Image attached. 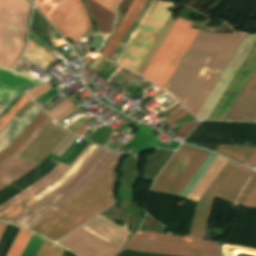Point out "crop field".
<instances>
[{
    "mask_svg": "<svg viewBox=\"0 0 256 256\" xmlns=\"http://www.w3.org/2000/svg\"><path fill=\"white\" fill-rule=\"evenodd\" d=\"M136 76H138V75H136V74H134V73H129L127 76H125L122 80H124L125 82H130L132 79H134Z\"/></svg>",
    "mask_w": 256,
    "mask_h": 256,
    "instance_id": "crop-field-38",
    "label": "crop field"
},
{
    "mask_svg": "<svg viewBox=\"0 0 256 256\" xmlns=\"http://www.w3.org/2000/svg\"><path fill=\"white\" fill-rule=\"evenodd\" d=\"M91 144H93V143H91ZM93 145H95V144H93ZM93 145H91L90 147L88 146L89 148L87 147L88 149L86 148L87 149V150L85 149L86 151L84 150L85 151L84 154L82 153L83 155L81 154L82 156L80 155L81 157L79 156L80 158L78 157L79 159L77 158L78 160L76 159L77 161L75 160L76 162L74 161L75 163L73 162L74 164L72 163L73 165L71 164L72 166L70 165L71 167L70 166H69L70 168L68 167L69 170L67 169L68 171L66 170L67 172L65 171L66 173L64 172L65 174L63 173L64 175L62 174L63 176L61 175L62 177L61 176H60L61 178L59 177L60 179L57 178L58 179V180L56 179L57 181L54 180L55 181V182L53 181L54 183L51 182L53 184L50 183L51 185L48 184L50 186H48V185L47 186L53 190L57 186H59L61 183H63L65 180H67L82 165V163L97 149V147L100 148V146H98V145H95L97 147H95ZM93 154L84 162V164L93 156ZM76 172L67 181H65L63 184L68 182L76 174ZM63 184H61L60 186H62ZM47 186H45L44 188H42L41 190H39L38 192H36L32 196H30L29 198H27L26 200H24L23 202H21L20 204H18L14 208H12L11 210H9L8 212H6L2 216H0V219L3 220V221H6V222L10 221L11 219H13L14 217H16L17 215H19L20 213H22L23 211H25L26 209H28L29 207H31L32 205L37 203L39 200H41L42 198H44L45 196H47L48 194H50L51 192L54 191V190L52 191L51 189H49ZM59 187H57V188H59Z\"/></svg>",
    "mask_w": 256,
    "mask_h": 256,
    "instance_id": "crop-field-14",
    "label": "crop field"
},
{
    "mask_svg": "<svg viewBox=\"0 0 256 256\" xmlns=\"http://www.w3.org/2000/svg\"><path fill=\"white\" fill-rule=\"evenodd\" d=\"M187 141L256 145V123L204 121Z\"/></svg>",
    "mask_w": 256,
    "mask_h": 256,
    "instance_id": "crop-field-10",
    "label": "crop field"
},
{
    "mask_svg": "<svg viewBox=\"0 0 256 256\" xmlns=\"http://www.w3.org/2000/svg\"><path fill=\"white\" fill-rule=\"evenodd\" d=\"M209 152L181 145L151 189L179 195Z\"/></svg>",
    "mask_w": 256,
    "mask_h": 256,
    "instance_id": "crop-field-8",
    "label": "crop field"
},
{
    "mask_svg": "<svg viewBox=\"0 0 256 256\" xmlns=\"http://www.w3.org/2000/svg\"><path fill=\"white\" fill-rule=\"evenodd\" d=\"M219 158H220V156L210 153V155L207 157V159L204 161V163L201 165V167L198 169V171L192 177L190 182L187 184V186L181 192L179 197L190 199V197L193 195V193L196 191V189L202 183L204 178L207 176V174L210 172V170L213 168V166L216 164V162L219 160ZM227 161L228 160H226L222 157L220 158V160L217 162V164L214 166V168L208 174L206 179L203 181V183L200 185V187L197 189V191L191 197L192 200H196V201L199 200V198L202 196V194L205 192V190L208 188V186L211 184V182L214 180V178L217 176V174L220 172V170L223 168V166L226 164Z\"/></svg>",
    "mask_w": 256,
    "mask_h": 256,
    "instance_id": "crop-field-16",
    "label": "crop field"
},
{
    "mask_svg": "<svg viewBox=\"0 0 256 256\" xmlns=\"http://www.w3.org/2000/svg\"><path fill=\"white\" fill-rule=\"evenodd\" d=\"M198 122H199V121L184 124V125L179 129V131L177 132V134H181V135L186 136V135L188 134V132H189L192 128H194Z\"/></svg>",
    "mask_w": 256,
    "mask_h": 256,
    "instance_id": "crop-field-36",
    "label": "crop field"
},
{
    "mask_svg": "<svg viewBox=\"0 0 256 256\" xmlns=\"http://www.w3.org/2000/svg\"><path fill=\"white\" fill-rule=\"evenodd\" d=\"M229 201L241 205L256 206V173L250 170Z\"/></svg>",
    "mask_w": 256,
    "mask_h": 256,
    "instance_id": "crop-field-20",
    "label": "crop field"
},
{
    "mask_svg": "<svg viewBox=\"0 0 256 256\" xmlns=\"http://www.w3.org/2000/svg\"><path fill=\"white\" fill-rule=\"evenodd\" d=\"M35 81L37 80L0 68V102L21 83L31 84ZM24 87L25 85H23L14 95L18 94ZM14 95H12L3 105H7L8 101L12 99Z\"/></svg>",
    "mask_w": 256,
    "mask_h": 256,
    "instance_id": "crop-field-21",
    "label": "crop field"
},
{
    "mask_svg": "<svg viewBox=\"0 0 256 256\" xmlns=\"http://www.w3.org/2000/svg\"><path fill=\"white\" fill-rule=\"evenodd\" d=\"M42 240L43 237L33 233L22 256H35Z\"/></svg>",
    "mask_w": 256,
    "mask_h": 256,
    "instance_id": "crop-field-30",
    "label": "crop field"
},
{
    "mask_svg": "<svg viewBox=\"0 0 256 256\" xmlns=\"http://www.w3.org/2000/svg\"><path fill=\"white\" fill-rule=\"evenodd\" d=\"M120 155L83 194L55 211L29 230L59 240L115 202L114 170Z\"/></svg>",
    "mask_w": 256,
    "mask_h": 256,
    "instance_id": "crop-field-2",
    "label": "crop field"
},
{
    "mask_svg": "<svg viewBox=\"0 0 256 256\" xmlns=\"http://www.w3.org/2000/svg\"><path fill=\"white\" fill-rule=\"evenodd\" d=\"M79 228L89 232L90 234L120 250L123 248L128 236L131 234L130 231L99 215Z\"/></svg>",
    "mask_w": 256,
    "mask_h": 256,
    "instance_id": "crop-field-18",
    "label": "crop field"
},
{
    "mask_svg": "<svg viewBox=\"0 0 256 256\" xmlns=\"http://www.w3.org/2000/svg\"><path fill=\"white\" fill-rule=\"evenodd\" d=\"M64 248L45 239L37 256H61Z\"/></svg>",
    "mask_w": 256,
    "mask_h": 256,
    "instance_id": "crop-field-29",
    "label": "crop field"
},
{
    "mask_svg": "<svg viewBox=\"0 0 256 256\" xmlns=\"http://www.w3.org/2000/svg\"><path fill=\"white\" fill-rule=\"evenodd\" d=\"M187 113H189V112H187L186 110H184L182 108L179 111H177L176 113H174L173 115L164 119L163 121L166 122L169 125V124L173 123L174 121H176L177 119H179L180 117L184 116Z\"/></svg>",
    "mask_w": 256,
    "mask_h": 256,
    "instance_id": "crop-field-35",
    "label": "crop field"
},
{
    "mask_svg": "<svg viewBox=\"0 0 256 256\" xmlns=\"http://www.w3.org/2000/svg\"><path fill=\"white\" fill-rule=\"evenodd\" d=\"M2 109H3V107H0V112H1Z\"/></svg>",
    "mask_w": 256,
    "mask_h": 256,
    "instance_id": "crop-field-43",
    "label": "crop field"
},
{
    "mask_svg": "<svg viewBox=\"0 0 256 256\" xmlns=\"http://www.w3.org/2000/svg\"><path fill=\"white\" fill-rule=\"evenodd\" d=\"M248 172L249 169L228 161L198 201L189 236L204 240L215 196L228 200Z\"/></svg>",
    "mask_w": 256,
    "mask_h": 256,
    "instance_id": "crop-field-6",
    "label": "crop field"
},
{
    "mask_svg": "<svg viewBox=\"0 0 256 256\" xmlns=\"http://www.w3.org/2000/svg\"><path fill=\"white\" fill-rule=\"evenodd\" d=\"M27 93H24L20 99L10 108V110L0 119V131L6 124L15 116V114L25 105L29 100Z\"/></svg>",
    "mask_w": 256,
    "mask_h": 256,
    "instance_id": "crop-field-28",
    "label": "crop field"
},
{
    "mask_svg": "<svg viewBox=\"0 0 256 256\" xmlns=\"http://www.w3.org/2000/svg\"><path fill=\"white\" fill-rule=\"evenodd\" d=\"M88 125H86L85 123L78 129V131L76 132V134L82 135L83 131L86 129Z\"/></svg>",
    "mask_w": 256,
    "mask_h": 256,
    "instance_id": "crop-field-39",
    "label": "crop field"
},
{
    "mask_svg": "<svg viewBox=\"0 0 256 256\" xmlns=\"http://www.w3.org/2000/svg\"><path fill=\"white\" fill-rule=\"evenodd\" d=\"M174 22L175 21L170 16L169 20L165 24L164 28L160 32L159 36L157 37V39L155 40L154 44L152 45V47L150 48L149 52L147 53V55L145 56L144 60L140 64L139 68L137 69V72L142 74V72L144 71L145 67L147 66V64L149 63L151 58L153 57L154 53L156 52V50L158 49V47L162 43L163 39L165 38V36L169 32V30L172 27V25L174 24Z\"/></svg>",
    "mask_w": 256,
    "mask_h": 256,
    "instance_id": "crop-field-26",
    "label": "crop field"
},
{
    "mask_svg": "<svg viewBox=\"0 0 256 256\" xmlns=\"http://www.w3.org/2000/svg\"><path fill=\"white\" fill-rule=\"evenodd\" d=\"M125 249L178 256H220L214 243L138 231Z\"/></svg>",
    "mask_w": 256,
    "mask_h": 256,
    "instance_id": "crop-field-5",
    "label": "crop field"
},
{
    "mask_svg": "<svg viewBox=\"0 0 256 256\" xmlns=\"http://www.w3.org/2000/svg\"><path fill=\"white\" fill-rule=\"evenodd\" d=\"M244 164L251 167L252 164L256 165V150L251 154V156L244 162Z\"/></svg>",
    "mask_w": 256,
    "mask_h": 256,
    "instance_id": "crop-field-37",
    "label": "crop field"
},
{
    "mask_svg": "<svg viewBox=\"0 0 256 256\" xmlns=\"http://www.w3.org/2000/svg\"><path fill=\"white\" fill-rule=\"evenodd\" d=\"M98 4L102 5L103 7L107 8L111 12L115 13V7L119 0H93Z\"/></svg>",
    "mask_w": 256,
    "mask_h": 256,
    "instance_id": "crop-field-33",
    "label": "crop field"
},
{
    "mask_svg": "<svg viewBox=\"0 0 256 256\" xmlns=\"http://www.w3.org/2000/svg\"><path fill=\"white\" fill-rule=\"evenodd\" d=\"M23 58L29 60L43 70L49 65L51 61L56 59L30 39L28 40L27 48Z\"/></svg>",
    "mask_w": 256,
    "mask_h": 256,
    "instance_id": "crop-field-23",
    "label": "crop field"
},
{
    "mask_svg": "<svg viewBox=\"0 0 256 256\" xmlns=\"http://www.w3.org/2000/svg\"><path fill=\"white\" fill-rule=\"evenodd\" d=\"M41 110L35 104L22 118L15 116L0 132V151L6 148Z\"/></svg>",
    "mask_w": 256,
    "mask_h": 256,
    "instance_id": "crop-field-19",
    "label": "crop field"
},
{
    "mask_svg": "<svg viewBox=\"0 0 256 256\" xmlns=\"http://www.w3.org/2000/svg\"><path fill=\"white\" fill-rule=\"evenodd\" d=\"M143 2H144V0H134L132 5L130 6L129 10L125 14L124 18L120 22L119 26L115 30L114 34L110 38L109 42L105 46L104 50L102 51V53H101L102 56H104V57H106L108 59V57L110 56V54L114 50L115 46L119 42L120 38L124 34L125 30L129 26L130 22L134 18L135 14L139 10V8H140V6L142 5ZM150 2H151V0H145L143 5L141 6L140 10L136 14L135 18L131 22L130 26L126 30L125 34L121 38L120 42L116 46L115 51L121 52L122 48L124 47L125 43L127 42L128 38L130 37V35L133 32L134 28L138 24L139 20L141 19L142 15L144 14V12L147 9V7L150 4ZM156 2L157 1L152 0V2L149 5L148 9L146 10L145 14L143 15L142 19L140 20L139 24L137 25V27L135 28V30L132 33L131 37L129 38L128 42L126 43L125 47L123 48L122 52L120 53L118 58L115 60V63L119 64L120 60L124 56L125 52L129 48L130 44L132 43V41L134 40L135 36L139 32L140 28L144 24V22L147 19L148 15L150 14L151 10L155 6Z\"/></svg>",
    "mask_w": 256,
    "mask_h": 256,
    "instance_id": "crop-field-12",
    "label": "crop field"
},
{
    "mask_svg": "<svg viewBox=\"0 0 256 256\" xmlns=\"http://www.w3.org/2000/svg\"><path fill=\"white\" fill-rule=\"evenodd\" d=\"M49 88H51V86L48 85L47 83H45V84H42V85H40V86H38V87H35V88L29 90L28 92H29L30 96H31L32 99H33L34 97H36V96L42 94L43 92H45V91L48 90Z\"/></svg>",
    "mask_w": 256,
    "mask_h": 256,
    "instance_id": "crop-field-34",
    "label": "crop field"
},
{
    "mask_svg": "<svg viewBox=\"0 0 256 256\" xmlns=\"http://www.w3.org/2000/svg\"><path fill=\"white\" fill-rule=\"evenodd\" d=\"M47 116L48 115L42 110L34 118V120L15 138V140L5 150L0 152V161L13 153Z\"/></svg>",
    "mask_w": 256,
    "mask_h": 256,
    "instance_id": "crop-field-24",
    "label": "crop field"
},
{
    "mask_svg": "<svg viewBox=\"0 0 256 256\" xmlns=\"http://www.w3.org/2000/svg\"><path fill=\"white\" fill-rule=\"evenodd\" d=\"M256 67V44L217 104L209 119H223L240 90ZM228 113V112H227Z\"/></svg>",
    "mask_w": 256,
    "mask_h": 256,
    "instance_id": "crop-field-15",
    "label": "crop field"
},
{
    "mask_svg": "<svg viewBox=\"0 0 256 256\" xmlns=\"http://www.w3.org/2000/svg\"><path fill=\"white\" fill-rule=\"evenodd\" d=\"M75 106L73 102L69 99L65 100L58 106H56L54 109H52L50 112H48L50 115H52L55 119L58 118L60 115L65 113L67 110Z\"/></svg>",
    "mask_w": 256,
    "mask_h": 256,
    "instance_id": "crop-field-32",
    "label": "crop field"
},
{
    "mask_svg": "<svg viewBox=\"0 0 256 256\" xmlns=\"http://www.w3.org/2000/svg\"><path fill=\"white\" fill-rule=\"evenodd\" d=\"M75 150L73 147H69L66 152L61 156V158L67 159L71 153ZM59 163V161L53 160L51 158L46 157L37 167L11 183L10 185L6 186L2 190H0V204L8 200L9 198L13 197L26 187L30 186L40 178L44 177L48 173H50L55 166ZM68 167V165H65L63 163H59L56 168L47 176L40 179L30 187L26 188L13 198L9 199L2 205H0V215L59 177L64 170Z\"/></svg>",
    "mask_w": 256,
    "mask_h": 256,
    "instance_id": "crop-field-7",
    "label": "crop field"
},
{
    "mask_svg": "<svg viewBox=\"0 0 256 256\" xmlns=\"http://www.w3.org/2000/svg\"><path fill=\"white\" fill-rule=\"evenodd\" d=\"M244 37L201 30L163 90L195 116Z\"/></svg>",
    "mask_w": 256,
    "mask_h": 256,
    "instance_id": "crop-field-1",
    "label": "crop field"
},
{
    "mask_svg": "<svg viewBox=\"0 0 256 256\" xmlns=\"http://www.w3.org/2000/svg\"><path fill=\"white\" fill-rule=\"evenodd\" d=\"M60 1L36 0L34 3L48 17ZM48 18L63 36L75 39L92 25L80 0H62Z\"/></svg>",
    "mask_w": 256,
    "mask_h": 256,
    "instance_id": "crop-field-9",
    "label": "crop field"
},
{
    "mask_svg": "<svg viewBox=\"0 0 256 256\" xmlns=\"http://www.w3.org/2000/svg\"><path fill=\"white\" fill-rule=\"evenodd\" d=\"M77 137L78 136H75L69 132L65 136V138L55 147V149L51 152V154L60 157Z\"/></svg>",
    "mask_w": 256,
    "mask_h": 256,
    "instance_id": "crop-field-31",
    "label": "crop field"
},
{
    "mask_svg": "<svg viewBox=\"0 0 256 256\" xmlns=\"http://www.w3.org/2000/svg\"><path fill=\"white\" fill-rule=\"evenodd\" d=\"M31 4L27 0H0V65L11 68L20 53Z\"/></svg>",
    "mask_w": 256,
    "mask_h": 256,
    "instance_id": "crop-field-4",
    "label": "crop field"
},
{
    "mask_svg": "<svg viewBox=\"0 0 256 256\" xmlns=\"http://www.w3.org/2000/svg\"><path fill=\"white\" fill-rule=\"evenodd\" d=\"M224 119L256 121V68Z\"/></svg>",
    "mask_w": 256,
    "mask_h": 256,
    "instance_id": "crop-field-17",
    "label": "crop field"
},
{
    "mask_svg": "<svg viewBox=\"0 0 256 256\" xmlns=\"http://www.w3.org/2000/svg\"><path fill=\"white\" fill-rule=\"evenodd\" d=\"M30 235L31 232L20 229L6 256H20Z\"/></svg>",
    "mask_w": 256,
    "mask_h": 256,
    "instance_id": "crop-field-27",
    "label": "crop field"
},
{
    "mask_svg": "<svg viewBox=\"0 0 256 256\" xmlns=\"http://www.w3.org/2000/svg\"><path fill=\"white\" fill-rule=\"evenodd\" d=\"M192 25L193 22L178 17L142 76L163 89L199 32L190 29Z\"/></svg>",
    "mask_w": 256,
    "mask_h": 256,
    "instance_id": "crop-field-3",
    "label": "crop field"
},
{
    "mask_svg": "<svg viewBox=\"0 0 256 256\" xmlns=\"http://www.w3.org/2000/svg\"><path fill=\"white\" fill-rule=\"evenodd\" d=\"M177 110H179V109H177L176 107L173 106V107H171L170 109H168V110H166V111H164V112L167 113V112L170 111V112L173 113V112H175V111H177Z\"/></svg>",
    "mask_w": 256,
    "mask_h": 256,
    "instance_id": "crop-field-42",
    "label": "crop field"
},
{
    "mask_svg": "<svg viewBox=\"0 0 256 256\" xmlns=\"http://www.w3.org/2000/svg\"><path fill=\"white\" fill-rule=\"evenodd\" d=\"M172 4L158 1L137 37L133 41L120 65L136 71L167 19L171 15L167 10Z\"/></svg>",
    "mask_w": 256,
    "mask_h": 256,
    "instance_id": "crop-field-11",
    "label": "crop field"
},
{
    "mask_svg": "<svg viewBox=\"0 0 256 256\" xmlns=\"http://www.w3.org/2000/svg\"><path fill=\"white\" fill-rule=\"evenodd\" d=\"M6 225H7L6 223L0 222V237H1V235H2V233L4 231V229H5Z\"/></svg>",
    "mask_w": 256,
    "mask_h": 256,
    "instance_id": "crop-field-40",
    "label": "crop field"
},
{
    "mask_svg": "<svg viewBox=\"0 0 256 256\" xmlns=\"http://www.w3.org/2000/svg\"><path fill=\"white\" fill-rule=\"evenodd\" d=\"M83 1L88 8L89 14L96 20L99 32L107 37L112 31L115 14L92 0Z\"/></svg>",
    "mask_w": 256,
    "mask_h": 256,
    "instance_id": "crop-field-22",
    "label": "crop field"
},
{
    "mask_svg": "<svg viewBox=\"0 0 256 256\" xmlns=\"http://www.w3.org/2000/svg\"><path fill=\"white\" fill-rule=\"evenodd\" d=\"M256 147L217 145L214 151L243 163Z\"/></svg>",
    "mask_w": 256,
    "mask_h": 256,
    "instance_id": "crop-field-25",
    "label": "crop field"
},
{
    "mask_svg": "<svg viewBox=\"0 0 256 256\" xmlns=\"http://www.w3.org/2000/svg\"><path fill=\"white\" fill-rule=\"evenodd\" d=\"M50 117L48 116L13 154L0 162V189L37 166L19 155L53 120Z\"/></svg>",
    "mask_w": 256,
    "mask_h": 256,
    "instance_id": "crop-field-13",
    "label": "crop field"
},
{
    "mask_svg": "<svg viewBox=\"0 0 256 256\" xmlns=\"http://www.w3.org/2000/svg\"><path fill=\"white\" fill-rule=\"evenodd\" d=\"M75 109H77V108L75 107L74 109L68 111L67 113H65L64 115H62L61 117H59V118L56 119V120H58V121L61 120L62 118H64L66 115H68L69 113H71V112L74 111Z\"/></svg>",
    "mask_w": 256,
    "mask_h": 256,
    "instance_id": "crop-field-41",
    "label": "crop field"
}]
</instances>
